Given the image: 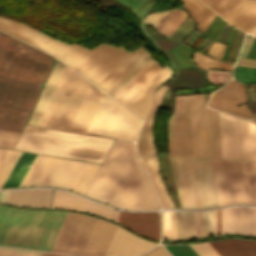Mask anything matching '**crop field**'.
Returning a JSON list of instances; mask_svg holds the SVG:
<instances>
[{
    "label": "crop field",
    "instance_id": "1",
    "mask_svg": "<svg viewBox=\"0 0 256 256\" xmlns=\"http://www.w3.org/2000/svg\"><path fill=\"white\" fill-rule=\"evenodd\" d=\"M54 58L0 32V129L20 133Z\"/></svg>",
    "mask_w": 256,
    "mask_h": 256
},
{
    "label": "crop field",
    "instance_id": "2",
    "mask_svg": "<svg viewBox=\"0 0 256 256\" xmlns=\"http://www.w3.org/2000/svg\"><path fill=\"white\" fill-rule=\"evenodd\" d=\"M0 30L60 59L105 92L147 52L140 47L129 53L122 46L105 43L89 50L3 17Z\"/></svg>",
    "mask_w": 256,
    "mask_h": 256
},
{
    "label": "crop field",
    "instance_id": "3",
    "mask_svg": "<svg viewBox=\"0 0 256 256\" xmlns=\"http://www.w3.org/2000/svg\"><path fill=\"white\" fill-rule=\"evenodd\" d=\"M123 209L159 208L133 143L116 140L88 194Z\"/></svg>",
    "mask_w": 256,
    "mask_h": 256
},
{
    "label": "crop field",
    "instance_id": "4",
    "mask_svg": "<svg viewBox=\"0 0 256 256\" xmlns=\"http://www.w3.org/2000/svg\"><path fill=\"white\" fill-rule=\"evenodd\" d=\"M67 213L0 205V245L50 251Z\"/></svg>",
    "mask_w": 256,
    "mask_h": 256
},
{
    "label": "crop field",
    "instance_id": "5",
    "mask_svg": "<svg viewBox=\"0 0 256 256\" xmlns=\"http://www.w3.org/2000/svg\"><path fill=\"white\" fill-rule=\"evenodd\" d=\"M112 142L111 139L26 125L14 148L102 163Z\"/></svg>",
    "mask_w": 256,
    "mask_h": 256
},
{
    "label": "crop field",
    "instance_id": "6",
    "mask_svg": "<svg viewBox=\"0 0 256 256\" xmlns=\"http://www.w3.org/2000/svg\"><path fill=\"white\" fill-rule=\"evenodd\" d=\"M116 227L88 215L69 212L51 251L104 256Z\"/></svg>",
    "mask_w": 256,
    "mask_h": 256
},
{
    "label": "crop field",
    "instance_id": "7",
    "mask_svg": "<svg viewBox=\"0 0 256 256\" xmlns=\"http://www.w3.org/2000/svg\"><path fill=\"white\" fill-rule=\"evenodd\" d=\"M142 120L102 94L85 133L136 141Z\"/></svg>",
    "mask_w": 256,
    "mask_h": 256
},
{
    "label": "crop field",
    "instance_id": "8",
    "mask_svg": "<svg viewBox=\"0 0 256 256\" xmlns=\"http://www.w3.org/2000/svg\"><path fill=\"white\" fill-rule=\"evenodd\" d=\"M222 159L256 160V124L219 112Z\"/></svg>",
    "mask_w": 256,
    "mask_h": 256
},
{
    "label": "crop field",
    "instance_id": "9",
    "mask_svg": "<svg viewBox=\"0 0 256 256\" xmlns=\"http://www.w3.org/2000/svg\"><path fill=\"white\" fill-rule=\"evenodd\" d=\"M86 162L37 154L22 186L49 185L73 190Z\"/></svg>",
    "mask_w": 256,
    "mask_h": 256
},
{
    "label": "crop field",
    "instance_id": "10",
    "mask_svg": "<svg viewBox=\"0 0 256 256\" xmlns=\"http://www.w3.org/2000/svg\"><path fill=\"white\" fill-rule=\"evenodd\" d=\"M194 157L221 159L217 111L204 95L190 96Z\"/></svg>",
    "mask_w": 256,
    "mask_h": 256
},
{
    "label": "crop field",
    "instance_id": "11",
    "mask_svg": "<svg viewBox=\"0 0 256 256\" xmlns=\"http://www.w3.org/2000/svg\"><path fill=\"white\" fill-rule=\"evenodd\" d=\"M168 89V87L162 85L154 93L152 108L144 122L140 138L137 142V150L142 157L146 171L152 182V185L156 191L159 201L163 208H174L172 201L160 180L157 158L153 146L152 140V129L155 119L156 112L161 103L163 93Z\"/></svg>",
    "mask_w": 256,
    "mask_h": 256
},
{
    "label": "crop field",
    "instance_id": "12",
    "mask_svg": "<svg viewBox=\"0 0 256 256\" xmlns=\"http://www.w3.org/2000/svg\"><path fill=\"white\" fill-rule=\"evenodd\" d=\"M88 84L70 70L45 127L68 131Z\"/></svg>",
    "mask_w": 256,
    "mask_h": 256
},
{
    "label": "crop field",
    "instance_id": "13",
    "mask_svg": "<svg viewBox=\"0 0 256 256\" xmlns=\"http://www.w3.org/2000/svg\"><path fill=\"white\" fill-rule=\"evenodd\" d=\"M169 156L193 157L189 96H176L168 123Z\"/></svg>",
    "mask_w": 256,
    "mask_h": 256
},
{
    "label": "crop field",
    "instance_id": "14",
    "mask_svg": "<svg viewBox=\"0 0 256 256\" xmlns=\"http://www.w3.org/2000/svg\"><path fill=\"white\" fill-rule=\"evenodd\" d=\"M51 208H66L107 217L113 221L118 220L119 211L111 210L92 201L80 198L71 193L54 190Z\"/></svg>",
    "mask_w": 256,
    "mask_h": 256
},
{
    "label": "crop field",
    "instance_id": "15",
    "mask_svg": "<svg viewBox=\"0 0 256 256\" xmlns=\"http://www.w3.org/2000/svg\"><path fill=\"white\" fill-rule=\"evenodd\" d=\"M157 245L117 228L105 256H140Z\"/></svg>",
    "mask_w": 256,
    "mask_h": 256
},
{
    "label": "crop field",
    "instance_id": "16",
    "mask_svg": "<svg viewBox=\"0 0 256 256\" xmlns=\"http://www.w3.org/2000/svg\"><path fill=\"white\" fill-rule=\"evenodd\" d=\"M216 92L221 93V95L215 108L244 117L253 116L245 105L235 107V105L247 103L244 84H240L232 79L225 87Z\"/></svg>",
    "mask_w": 256,
    "mask_h": 256
},
{
    "label": "crop field",
    "instance_id": "17",
    "mask_svg": "<svg viewBox=\"0 0 256 256\" xmlns=\"http://www.w3.org/2000/svg\"><path fill=\"white\" fill-rule=\"evenodd\" d=\"M175 160L185 208H202L191 159Z\"/></svg>",
    "mask_w": 256,
    "mask_h": 256
},
{
    "label": "crop field",
    "instance_id": "18",
    "mask_svg": "<svg viewBox=\"0 0 256 256\" xmlns=\"http://www.w3.org/2000/svg\"><path fill=\"white\" fill-rule=\"evenodd\" d=\"M172 71L166 65L142 87L124 106L143 120L150 108L152 92L163 81L169 78Z\"/></svg>",
    "mask_w": 256,
    "mask_h": 256
},
{
    "label": "crop field",
    "instance_id": "19",
    "mask_svg": "<svg viewBox=\"0 0 256 256\" xmlns=\"http://www.w3.org/2000/svg\"><path fill=\"white\" fill-rule=\"evenodd\" d=\"M118 222L129 227L130 229L136 231L139 234L159 240L158 212L128 213L120 211Z\"/></svg>",
    "mask_w": 256,
    "mask_h": 256
},
{
    "label": "crop field",
    "instance_id": "20",
    "mask_svg": "<svg viewBox=\"0 0 256 256\" xmlns=\"http://www.w3.org/2000/svg\"><path fill=\"white\" fill-rule=\"evenodd\" d=\"M192 161L203 208L219 205L209 160Z\"/></svg>",
    "mask_w": 256,
    "mask_h": 256
},
{
    "label": "crop field",
    "instance_id": "21",
    "mask_svg": "<svg viewBox=\"0 0 256 256\" xmlns=\"http://www.w3.org/2000/svg\"><path fill=\"white\" fill-rule=\"evenodd\" d=\"M102 92L89 84L69 131L84 133Z\"/></svg>",
    "mask_w": 256,
    "mask_h": 256
},
{
    "label": "crop field",
    "instance_id": "22",
    "mask_svg": "<svg viewBox=\"0 0 256 256\" xmlns=\"http://www.w3.org/2000/svg\"><path fill=\"white\" fill-rule=\"evenodd\" d=\"M64 67L65 65H63L58 60L56 61L47 79V82L40 94L39 100L33 110V113L30 117L28 124L36 126L39 125Z\"/></svg>",
    "mask_w": 256,
    "mask_h": 256
},
{
    "label": "crop field",
    "instance_id": "23",
    "mask_svg": "<svg viewBox=\"0 0 256 256\" xmlns=\"http://www.w3.org/2000/svg\"><path fill=\"white\" fill-rule=\"evenodd\" d=\"M225 19L251 32L256 27V0H240Z\"/></svg>",
    "mask_w": 256,
    "mask_h": 256
},
{
    "label": "crop field",
    "instance_id": "24",
    "mask_svg": "<svg viewBox=\"0 0 256 256\" xmlns=\"http://www.w3.org/2000/svg\"><path fill=\"white\" fill-rule=\"evenodd\" d=\"M52 190L11 191L9 203L25 207H49Z\"/></svg>",
    "mask_w": 256,
    "mask_h": 256
},
{
    "label": "crop field",
    "instance_id": "25",
    "mask_svg": "<svg viewBox=\"0 0 256 256\" xmlns=\"http://www.w3.org/2000/svg\"><path fill=\"white\" fill-rule=\"evenodd\" d=\"M208 244L220 256H256V242L230 239Z\"/></svg>",
    "mask_w": 256,
    "mask_h": 256
},
{
    "label": "crop field",
    "instance_id": "26",
    "mask_svg": "<svg viewBox=\"0 0 256 256\" xmlns=\"http://www.w3.org/2000/svg\"><path fill=\"white\" fill-rule=\"evenodd\" d=\"M162 67L152 61L134 80H132L114 99L125 104Z\"/></svg>",
    "mask_w": 256,
    "mask_h": 256
},
{
    "label": "crop field",
    "instance_id": "27",
    "mask_svg": "<svg viewBox=\"0 0 256 256\" xmlns=\"http://www.w3.org/2000/svg\"><path fill=\"white\" fill-rule=\"evenodd\" d=\"M36 154L21 152L3 187L21 186Z\"/></svg>",
    "mask_w": 256,
    "mask_h": 256
},
{
    "label": "crop field",
    "instance_id": "28",
    "mask_svg": "<svg viewBox=\"0 0 256 256\" xmlns=\"http://www.w3.org/2000/svg\"><path fill=\"white\" fill-rule=\"evenodd\" d=\"M182 1L185 2L183 6H185L188 9L192 18L198 23L196 28L204 32L216 14L204 5H202L203 3L201 4L197 0Z\"/></svg>",
    "mask_w": 256,
    "mask_h": 256
},
{
    "label": "crop field",
    "instance_id": "29",
    "mask_svg": "<svg viewBox=\"0 0 256 256\" xmlns=\"http://www.w3.org/2000/svg\"><path fill=\"white\" fill-rule=\"evenodd\" d=\"M243 234L242 207L222 209V234Z\"/></svg>",
    "mask_w": 256,
    "mask_h": 256
},
{
    "label": "crop field",
    "instance_id": "30",
    "mask_svg": "<svg viewBox=\"0 0 256 256\" xmlns=\"http://www.w3.org/2000/svg\"><path fill=\"white\" fill-rule=\"evenodd\" d=\"M177 239L197 237L196 212L176 211Z\"/></svg>",
    "mask_w": 256,
    "mask_h": 256
},
{
    "label": "crop field",
    "instance_id": "31",
    "mask_svg": "<svg viewBox=\"0 0 256 256\" xmlns=\"http://www.w3.org/2000/svg\"><path fill=\"white\" fill-rule=\"evenodd\" d=\"M150 53H146L127 73H125L106 93L113 98L135 78L151 61Z\"/></svg>",
    "mask_w": 256,
    "mask_h": 256
},
{
    "label": "crop field",
    "instance_id": "32",
    "mask_svg": "<svg viewBox=\"0 0 256 256\" xmlns=\"http://www.w3.org/2000/svg\"><path fill=\"white\" fill-rule=\"evenodd\" d=\"M100 165L87 162L74 191L86 194L92 180L94 179Z\"/></svg>",
    "mask_w": 256,
    "mask_h": 256
},
{
    "label": "crop field",
    "instance_id": "33",
    "mask_svg": "<svg viewBox=\"0 0 256 256\" xmlns=\"http://www.w3.org/2000/svg\"><path fill=\"white\" fill-rule=\"evenodd\" d=\"M193 60L195 61V63L198 65L199 68L205 71L207 68H218V69H227V70L233 69L232 65L222 61L215 60L197 51H195L193 54Z\"/></svg>",
    "mask_w": 256,
    "mask_h": 256
},
{
    "label": "crop field",
    "instance_id": "34",
    "mask_svg": "<svg viewBox=\"0 0 256 256\" xmlns=\"http://www.w3.org/2000/svg\"><path fill=\"white\" fill-rule=\"evenodd\" d=\"M19 154V151L8 149L0 164V187H2Z\"/></svg>",
    "mask_w": 256,
    "mask_h": 256
},
{
    "label": "crop field",
    "instance_id": "35",
    "mask_svg": "<svg viewBox=\"0 0 256 256\" xmlns=\"http://www.w3.org/2000/svg\"><path fill=\"white\" fill-rule=\"evenodd\" d=\"M163 239H176L175 211H162Z\"/></svg>",
    "mask_w": 256,
    "mask_h": 256
},
{
    "label": "crop field",
    "instance_id": "36",
    "mask_svg": "<svg viewBox=\"0 0 256 256\" xmlns=\"http://www.w3.org/2000/svg\"><path fill=\"white\" fill-rule=\"evenodd\" d=\"M244 234L256 235V208L243 207Z\"/></svg>",
    "mask_w": 256,
    "mask_h": 256
},
{
    "label": "crop field",
    "instance_id": "37",
    "mask_svg": "<svg viewBox=\"0 0 256 256\" xmlns=\"http://www.w3.org/2000/svg\"><path fill=\"white\" fill-rule=\"evenodd\" d=\"M69 70H70V68L65 67V69H64V71L62 73V76H61V78H60V80L58 82V85H57V87H56V89L54 91V94H53V96L51 98V101H50V103H49V105L47 107V110H46V112H45V114L43 116V119H42V121H41L39 126H42V127L45 126V124H46V122L48 120V117H49V115L51 113V110H52V108H53V106L55 104V101H56V99H57V97L59 95V92H60V90H61V88L63 86V83H64V81L66 79V76H67Z\"/></svg>",
    "mask_w": 256,
    "mask_h": 256
},
{
    "label": "crop field",
    "instance_id": "38",
    "mask_svg": "<svg viewBox=\"0 0 256 256\" xmlns=\"http://www.w3.org/2000/svg\"><path fill=\"white\" fill-rule=\"evenodd\" d=\"M234 76L240 82L256 83V69L237 66L234 70Z\"/></svg>",
    "mask_w": 256,
    "mask_h": 256
},
{
    "label": "crop field",
    "instance_id": "39",
    "mask_svg": "<svg viewBox=\"0 0 256 256\" xmlns=\"http://www.w3.org/2000/svg\"><path fill=\"white\" fill-rule=\"evenodd\" d=\"M186 16V12L182 10L179 11L164 25V27L159 32L167 36H170L176 30V28L182 23Z\"/></svg>",
    "mask_w": 256,
    "mask_h": 256
},
{
    "label": "crop field",
    "instance_id": "40",
    "mask_svg": "<svg viewBox=\"0 0 256 256\" xmlns=\"http://www.w3.org/2000/svg\"><path fill=\"white\" fill-rule=\"evenodd\" d=\"M253 204H256V162L245 161Z\"/></svg>",
    "mask_w": 256,
    "mask_h": 256
},
{
    "label": "crop field",
    "instance_id": "41",
    "mask_svg": "<svg viewBox=\"0 0 256 256\" xmlns=\"http://www.w3.org/2000/svg\"><path fill=\"white\" fill-rule=\"evenodd\" d=\"M43 252L0 247V256H42Z\"/></svg>",
    "mask_w": 256,
    "mask_h": 256
},
{
    "label": "crop field",
    "instance_id": "42",
    "mask_svg": "<svg viewBox=\"0 0 256 256\" xmlns=\"http://www.w3.org/2000/svg\"><path fill=\"white\" fill-rule=\"evenodd\" d=\"M165 247L173 256H198L189 245H168Z\"/></svg>",
    "mask_w": 256,
    "mask_h": 256
},
{
    "label": "crop field",
    "instance_id": "43",
    "mask_svg": "<svg viewBox=\"0 0 256 256\" xmlns=\"http://www.w3.org/2000/svg\"><path fill=\"white\" fill-rule=\"evenodd\" d=\"M19 134L0 130V146L12 148Z\"/></svg>",
    "mask_w": 256,
    "mask_h": 256
},
{
    "label": "crop field",
    "instance_id": "44",
    "mask_svg": "<svg viewBox=\"0 0 256 256\" xmlns=\"http://www.w3.org/2000/svg\"><path fill=\"white\" fill-rule=\"evenodd\" d=\"M189 17L178 27V29L169 37V38H173L179 31L180 29L189 21ZM192 23V21L190 20L183 28L182 30L173 38L174 40H176L183 32L184 30ZM194 23H192L186 30L185 32L177 39V41L182 42L183 39L187 36V34L193 29L194 27Z\"/></svg>",
    "mask_w": 256,
    "mask_h": 256
},
{
    "label": "crop field",
    "instance_id": "45",
    "mask_svg": "<svg viewBox=\"0 0 256 256\" xmlns=\"http://www.w3.org/2000/svg\"><path fill=\"white\" fill-rule=\"evenodd\" d=\"M219 18H220V17H218V16L216 15V17L214 18V20L212 21V23L210 24V26L207 28V30L204 32V34H206V35L208 36V34L211 32V30L213 29V27L215 26V24H216L217 21L219 20ZM220 21H221V18H220V20L218 21V23L216 24V26L214 27V29L212 30V32L209 34V37H213V35H214V33H215V31H216V29H217V27H218ZM224 21H225V20H224ZM224 21L222 20V22H221V24H220V26H219V28H218V30H217L215 36H214V39H216L217 41H218V39H219V37H220V35H221V33H222V30H223V28H224V26H225V24H226V22H224Z\"/></svg>",
    "mask_w": 256,
    "mask_h": 256
},
{
    "label": "crop field",
    "instance_id": "46",
    "mask_svg": "<svg viewBox=\"0 0 256 256\" xmlns=\"http://www.w3.org/2000/svg\"><path fill=\"white\" fill-rule=\"evenodd\" d=\"M176 8L177 7L164 12L151 13L147 17H145L144 21H146L149 26L154 28L167 14H169L172 10Z\"/></svg>",
    "mask_w": 256,
    "mask_h": 256
},
{
    "label": "crop field",
    "instance_id": "47",
    "mask_svg": "<svg viewBox=\"0 0 256 256\" xmlns=\"http://www.w3.org/2000/svg\"><path fill=\"white\" fill-rule=\"evenodd\" d=\"M203 236L212 235V210L202 212Z\"/></svg>",
    "mask_w": 256,
    "mask_h": 256
},
{
    "label": "crop field",
    "instance_id": "48",
    "mask_svg": "<svg viewBox=\"0 0 256 256\" xmlns=\"http://www.w3.org/2000/svg\"><path fill=\"white\" fill-rule=\"evenodd\" d=\"M199 256H219L207 243L190 245Z\"/></svg>",
    "mask_w": 256,
    "mask_h": 256
},
{
    "label": "crop field",
    "instance_id": "49",
    "mask_svg": "<svg viewBox=\"0 0 256 256\" xmlns=\"http://www.w3.org/2000/svg\"><path fill=\"white\" fill-rule=\"evenodd\" d=\"M170 166H171V175H172V177H173V179L175 181V185H176V189H177L180 205H181V207L184 208L174 158H170Z\"/></svg>",
    "mask_w": 256,
    "mask_h": 256
},
{
    "label": "crop field",
    "instance_id": "50",
    "mask_svg": "<svg viewBox=\"0 0 256 256\" xmlns=\"http://www.w3.org/2000/svg\"><path fill=\"white\" fill-rule=\"evenodd\" d=\"M226 45H222L220 43L214 42L210 50L208 51L207 54H209L212 57H216L221 59L222 55L224 53Z\"/></svg>",
    "mask_w": 256,
    "mask_h": 256
},
{
    "label": "crop field",
    "instance_id": "51",
    "mask_svg": "<svg viewBox=\"0 0 256 256\" xmlns=\"http://www.w3.org/2000/svg\"><path fill=\"white\" fill-rule=\"evenodd\" d=\"M239 33H240V31L236 29L235 33H234L232 43H231V47H230V50H229L228 58H227L228 62H232L234 52H235V49H236V45H237V41H238V37H239Z\"/></svg>",
    "mask_w": 256,
    "mask_h": 256
},
{
    "label": "crop field",
    "instance_id": "52",
    "mask_svg": "<svg viewBox=\"0 0 256 256\" xmlns=\"http://www.w3.org/2000/svg\"><path fill=\"white\" fill-rule=\"evenodd\" d=\"M146 256H171L162 246L147 254Z\"/></svg>",
    "mask_w": 256,
    "mask_h": 256
},
{
    "label": "crop field",
    "instance_id": "53",
    "mask_svg": "<svg viewBox=\"0 0 256 256\" xmlns=\"http://www.w3.org/2000/svg\"><path fill=\"white\" fill-rule=\"evenodd\" d=\"M246 58L256 59V38L254 39L253 44H252Z\"/></svg>",
    "mask_w": 256,
    "mask_h": 256
},
{
    "label": "crop field",
    "instance_id": "54",
    "mask_svg": "<svg viewBox=\"0 0 256 256\" xmlns=\"http://www.w3.org/2000/svg\"><path fill=\"white\" fill-rule=\"evenodd\" d=\"M238 64L256 67V61L255 60H247V59L240 58Z\"/></svg>",
    "mask_w": 256,
    "mask_h": 256
},
{
    "label": "crop field",
    "instance_id": "55",
    "mask_svg": "<svg viewBox=\"0 0 256 256\" xmlns=\"http://www.w3.org/2000/svg\"><path fill=\"white\" fill-rule=\"evenodd\" d=\"M198 237L202 236L201 212H197Z\"/></svg>",
    "mask_w": 256,
    "mask_h": 256
},
{
    "label": "crop field",
    "instance_id": "56",
    "mask_svg": "<svg viewBox=\"0 0 256 256\" xmlns=\"http://www.w3.org/2000/svg\"><path fill=\"white\" fill-rule=\"evenodd\" d=\"M218 93L214 92L210 98V101L208 103V106L210 107H215V104H216V101H217V98H218Z\"/></svg>",
    "mask_w": 256,
    "mask_h": 256
},
{
    "label": "crop field",
    "instance_id": "57",
    "mask_svg": "<svg viewBox=\"0 0 256 256\" xmlns=\"http://www.w3.org/2000/svg\"><path fill=\"white\" fill-rule=\"evenodd\" d=\"M218 234H221V209L217 210Z\"/></svg>",
    "mask_w": 256,
    "mask_h": 256
},
{
    "label": "crop field",
    "instance_id": "58",
    "mask_svg": "<svg viewBox=\"0 0 256 256\" xmlns=\"http://www.w3.org/2000/svg\"><path fill=\"white\" fill-rule=\"evenodd\" d=\"M217 234L216 210H213V235Z\"/></svg>",
    "mask_w": 256,
    "mask_h": 256
},
{
    "label": "crop field",
    "instance_id": "59",
    "mask_svg": "<svg viewBox=\"0 0 256 256\" xmlns=\"http://www.w3.org/2000/svg\"><path fill=\"white\" fill-rule=\"evenodd\" d=\"M9 194H10V191L2 192L0 201H1V202L8 203Z\"/></svg>",
    "mask_w": 256,
    "mask_h": 256
},
{
    "label": "crop field",
    "instance_id": "60",
    "mask_svg": "<svg viewBox=\"0 0 256 256\" xmlns=\"http://www.w3.org/2000/svg\"><path fill=\"white\" fill-rule=\"evenodd\" d=\"M44 256H76V255H67V254L45 252Z\"/></svg>",
    "mask_w": 256,
    "mask_h": 256
},
{
    "label": "crop field",
    "instance_id": "61",
    "mask_svg": "<svg viewBox=\"0 0 256 256\" xmlns=\"http://www.w3.org/2000/svg\"><path fill=\"white\" fill-rule=\"evenodd\" d=\"M6 151H7V149H5V148H0V162H1L2 158L4 157Z\"/></svg>",
    "mask_w": 256,
    "mask_h": 256
},
{
    "label": "crop field",
    "instance_id": "62",
    "mask_svg": "<svg viewBox=\"0 0 256 256\" xmlns=\"http://www.w3.org/2000/svg\"><path fill=\"white\" fill-rule=\"evenodd\" d=\"M228 50H229V46L226 47V50H225V53H224V56H223V60H225V61H226V58H227Z\"/></svg>",
    "mask_w": 256,
    "mask_h": 256
},
{
    "label": "crop field",
    "instance_id": "63",
    "mask_svg": "<svg viewBox=\"0 0 256 256\" xmlns=\"http://www.w3.org/2000/svg\"><path fill=\"white\" fill-rule=\"evenodd\" d=\"M251 120L256 122V115Z\"/></svg>",
    "mask_w": 256,
    "mask_h": 256
},
{
    "label": "crop field",
    "instance_id": "64",
    "mask_svg": "<svg viewBox=\"0 0 256 256\" xmlns=\"http://www.w3.org/2000/svg\"><path fill=\"white\" fill-rule=\"evenodd\" d=\"M252 34L256 35V30Z\"/></svg>",
    "mask_w": 256,
    "mask_h": 256
},
{
    "label": "crop field",
    "instance_id": "65",
    "mask_svg": "<svg viewBox=\"0 0 256 256\" xmlns=\"http://www.w3.org/2000/svg\"><path fill=\"white\" fill-rule=\"evenodd\" d=\"M0 194H1V192H0Z\"/></svg>",
    "mask_w": 256,
    "mask_h": 256
},
{
    "label": "crop field",
    "instance_id": "66",
    "mask_svg": "<svg viewBox=\"0 0 256 256\" xmlns=\"http://www.w3.org/2000/svg\"><path fill=\"white\" fill-rule=\"evenodd\" d=\"M159 1H161V0H159Z\"/></svg>",
    "mask_w": 256,
    "mask_h": 256
}]
</instances>
